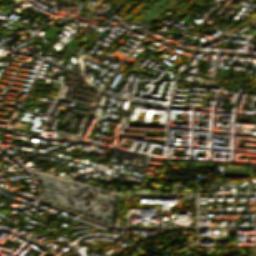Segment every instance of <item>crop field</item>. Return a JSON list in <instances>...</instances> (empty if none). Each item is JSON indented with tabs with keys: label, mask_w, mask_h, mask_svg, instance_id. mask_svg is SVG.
Here are the masks:
<instances>
[{
	"label": "crop field",
	"mask_w": 256,
	"mask_h": 256,
	"mask_svg": "<svg viewBox=\"0 0 256 256\" xmlns=\"http://www.w3.org/2000/svg\"><path fill=\"white\" fill-rule=\"evenodd\" d=\"M75 43H74V41H72L68 46V50H69V48L71 47V46H73Z\"/></svg>",
	"instance_id": "obj_1"
}]
</instances>
